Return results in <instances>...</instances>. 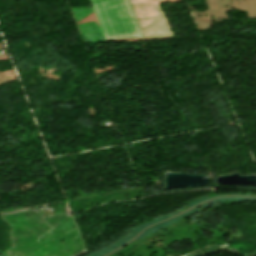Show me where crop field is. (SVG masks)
Here are the masks:
<instances>
[{
	"instance_id": "1",
	"label": "crop field",
	"mask_w": 256,
	"mask_h": 256,
	"mask_svg": "<svg viewBox=\"0 0 256 256\" xmlns=\"http://www.w3.org/2000/svg\"><path fill=\"white\" fill-rule=\"evenodd\" d=\"M106 39L172 35L158 0H91Z\"/></svg>"
}]
</instances>
